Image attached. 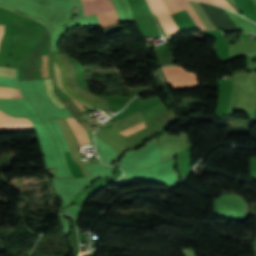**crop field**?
Wrapping results in <instances>:
<instances>
[{
    "label": "crop field",
    "instance_id": "crop-field-5",
    "mask_svg": "<svg viewBox=\"0 0 256 256\" xmlns=\"http://www.w3.org/2000/svg\"><path fill=\"white\" fill-rule=\"evenodd\" d=\"M61 58L64 62L69 87H71L72 89H74L75 91L80 93L81 95L85 96L86 98H88L92 101H95L99 104L105 105L107 102L106 100H102L94 95H91V94L83 91L76 85L75 72H74L73 65H72L70 59L67 58L65 55H61Z\"/></svg>",
    "mask_w": 256,
    "mask_h": 256
},
{
    "label": "crop field",
    "instance_id": "crop-field-13",
    "mask_svg": "<svg viewBox=\"0 0 256 256\" xmlns=\"http://www.w3.org/2000/svg\"><path fill=\"white\" fill-rule=\"evenodd\" d=\"M2 28H3V26H0V43H1L2 36H3V32H4V31H2ZM4 28H5V26H4ZM4 28H3V30H4Z\"/></svg>",
    "mask_w": 256,
    "mask_h": 256
},
{
    "label": "crop field",
    "instance_id": "crop-field-1",
    "mask_svg": "<svg viewBox=\"0 0 256 256\" xmlns=\"http://www.w3.org/2000/svg\"><path fill=\"white\" fill-rule=\"evenodd\" d=\"M85 16L97 13L102 27L118 24L112 5L107 0H82Z\"/></svg>",
    "mask_w": 256,
    "mask_h": 256
},
{
    "label": "crop field",
    "instance_id": "crop-field-8",
    "mask_svg": "<svg viewBox=\"0 0 256 256\" xmlns=\"http://www.w3.org/2000/svg\"><path fill=\"white\" fill-rule=\"evenodd\" d=\"M72 101V103L75 105V107L78 109V111L81 113V115L84 117L85 120H87L84 116V114L82 112L86 111L87 109L82 106L81 104H79L78 102H76L73 99H70ZM65 101V103L70 107V109L72 110V112L74 113L75 117L80 121H84L83 117L80 115V113L77 111V109L74 107V105L71 103V101Z\"/></svg>",
    "mask_w": 256,
    "mask_h": 256
},
{
    "label": "crop field",
    "instance_id": "crop-field-10",
    "mask_svg": "<svg viewBox=\"0 0 256 256\" xmlns=\"http://www.w3.org/2000/svg\"><path fill=\"white\" fill-rule=\"evenodd\" d=\"M45 83H46L47 92H48L49 96L51 97V99L59 106L60 109L62 107H64L62 102L59 100V98L56 96V94L53 91L52 80L51 79H45Z\"/></svg>",
    "mask_w": 256,
    "mask_h": 256
},
{
    "label": "crop field",
    "instance_id": "crop-field-6",
    "mask_svg": "<svg viewBox=\"0 0 256 256\" xmlns=\"http://www.w3.org/2000/svg\"><path fill=\"white\" fill-rule=\"evenodd\" d=\"M33 128L31 122L25 118H14L0 112V131Z\"/></svg>",
    "mask_w": 256,
    "mask_h": 256
},
{
    "label": "crop field",
    "instance_id": "crop-field-4",
    "mask_svg": "<svg viewBox=\"0 0 256 256\" xmlns=\"http://www.w3.org/2000/svg\"><path fill=\"white\" fill-rule=\"evenodd\" d=\"M180 1L183 3L185 8L187 9L189 15L191 16L192 20L197 25L199 30H203V29H205V27H206V29L215 28L213 26V24L209 21L207 15L205 14L204 10L201 8V6L199 5L198 2L188 0L190 2V4L192 5L193 9L195 10V12L197 13V15L199 16V18L201 19V21H202V23L204 24L205 27L203 26L200 19L198 18V16L196 15L194 10L192 9L189 2L187 0H180Z\"/></svg>",
    "mask_w": 256,
    "mask_h": 256
},
{
    "label": "crop field",
    "instance_id": "crop-field-9",
    "mask_svg": "<svg viewBox=\"0 0 256 256\" xmlns=\"http://www.w3.org/2000/svg\"><path fill=\"white\" fill-rule=\"evenodd\" d=\"M164 2L170 14L185 9L179 0H164Z\"/></svg>",
    "mask_w": 256,
    "mask_h": 256
},
{
    "label": "crop field",
    "instance_id": "crop-field-3",
    "mask_svg": "<svg viewBox=\"0 0 256 256\" xmlns=\"http://www.w3.org/2000/svg\"><path fill=\"white\" fill-rule=\"evenodd\" d=\"M114 128L123 135H129L144 127V120L140 112L131 114L114 124Z\"/></svg>",
    "mask_w": 256,
    "mask_h": 256
},
{
    "label": "crop field",
    "instance_id": "crop-field-11",
    "mask_svg": "<svg viewBox=\"0 0 256 256\" xmlns=\"http://www.w3.org/2000/svg\"><path fill=\"white\" fill-rule=\"evenodd\" d=\"M41 77H50L49 56H41Z\"/></svg>",
    "mask_w": 256,
    "mask_h": 256
},
{
    "label": "crop field",
    "instance_id": "crop-field-12",
    "mask_svg": "<svg viewBox=\"0 0 256 256\" xmlns=\"http://www.w3.org/2000/svg\"><path fill=\"white\" fill-rule=\"evenodd\" d=\"M207 3L217 4L219 6L225 7L231 11H235L232 6L226 0H199ZM236 12V11H235Z\"/></svg>",
    "mask_w": 256,
    "mask_h": 256
},
{
    "label": "crop field",
    "instance_id": "crop-field-7",
    "mask_svg": "<svg viewBox=\"0 0 256 256\" xmlns=\"http://www.w3.org/2000/svg\"><path fill=\"white\" fill-rule=\"evenodd\" d=\"M15 69L12 68H1L0 76L14 78ZM22 97L19 90L0 88V98H15Z\"/></svg>",
    "mask_w": 256,
    "mask_h": 256
},
{
    "label": "crop field",
    "instance_id": "crop-field-2",
    "mask_svg": "<svg viewBox=\"0 0 256 256\" xmlns=\"http://www.w3.org/2000/svg\"><path fill=\"white\" fill-rule=\"evenodd\" d=\"M167 80L175 87L198 84L195 74L187 73L177 66L161 68Z\"/></svg>",
    "mask_w": 256,
    "mask_h": 256
}]
</instances>
